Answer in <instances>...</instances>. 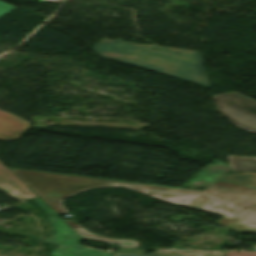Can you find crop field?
Wrapping results in <instances>:
<instances>
[{"mask_svg": "<svg viewBox=\"0 0 256 256\" xmlns=\"http://www.w3.org/2000/svg\"><path fill=\"white\" fill-rule=\"evenodd\" d=\"M10 170L57 214L68 212L61 204L65 198L93 188L122 186L166 203L225 216L216 223L238 232L256 233V189L254 188L218 181L205 191H197L18 169ZM217 206L221 207L216 208Z\"/></svg>", "mask_w": 256, "mask_h": 256, "instance_id": "8a807250", "label": "crop field"}, {"mask_svg": "<svg viewBox=\"0 0 256 256\" xmlns=\"http://www.w3.org/2000/svg\"><path fill=\"white\" fill-rule=\"evenodd\" d=\"M92 49L112 60L210 87L200 52L106 38Z\"/></svg>", "mask_w": 256, "mask_h": 256, "instance_id": "ac0d7876", "label": "crop field"}, {"mask_svg": "<svg viewBox=\"0 0 256 256\" xmlns=\"http://www.w3.org/2000/svg\"><path fill=\"white\" fill-rule=\"evenodd\" d=\"M36 204L43 209L56 233L44 242L58 245L51 256H113L114 254H105L106 251L88 248L79 245L82 238L77 235L57 214L39 197L34 199Z\"/></svg>", "mask_w": 256, "mask_h": 256, "instance_id": "34b2d1b8", "label": "crop field"}, {"mask_svg": "<svg viewBox=\"0 0 256 256\" xmlns=\"http://www.w3.org/2000/svg\"><path fill=\"white\" fill-rule=\"evenodd\" d=\"M217 111L231 123L256 134V101L236 92L213 96Z\"/></svg>", "mask_w": 256, "mask_h": 256, "instance_id": "412701ff", "label": "crop field"}, {"mask_svg": "<svg viewBox=\"0 0 256 256\" xmlns=\"http://www.w3.org/2000/svg\"><path fill=\"white\" fill-rule=\"evenodd\" d=\"M0 188L13 198H33L37 195L31 191L16 175L0 163Z\"/></svg>", "mask_w": 256, "mask_h": 256, "instance_id": "f4fd0767", "label": "crop field"}, {"mask_svg": "<svg viewBox=\"0 0 256 256\" xmlns=\"http://www.w3.org/2000/svg\"><path fill=\"white\" fill-rule=\"evenodd\" d=\"M30 123L0 110V140H16L29 128Z\"/></svg>", "mask_w": 256, "mask_h": 256, "instance_id": "dd49c442", "label": "crop field"}, {"mask_svg": "<svg viewBox=\"0 0 256 256\" xmlns=\"http://www.w3.org/2000/svg\"><path fill=\"white\" fill-rule=\"evenodd\" d=\"M77 234L86 239L98 240L101 242H106L110 244H119V247H130V248H138L139 242L133 240H120V239H111L106 237H100L95 234H92L81 227L79 224L74 222L73 220H64Z\"/></svg>", "mask_w": 256, "mask_h": 256, "instance_id": "e52e79f7", "label": "crop field"}, {"mask_svg": "<svg viewBox=\"0 0 256 256\" xmlns=\"http://www.w3.org/2000/svg\"><path fill=\"white\" fill-rule=\"evenodd\" d=\"M233 171L256 170V157L228 156Z\"/></svg>", "mask_w": 256, "mask_h": 256, "instance_id": "d8731c3e", "label": "crop field"}, {"mask_svg": "<svg viewBox=\"0 0 256 256\" xmlns=\"http://www.w3.org/2000/svg\"><path fill=\"white\" fill-rule=\"evenodd\" d=\"M221 180L250 185L256 187V172L251 173H229Z\"/></svg>", "mask_w": 256, "mask_h": 256, "instance_id": "5a996713", "label": "crop field"}, {"mask_svg": "<svg viewBox=\"0 0 256 256\" xmlns=\"http://www.w3.org/2000/svg\"><path fill=\"white\" fill-rule=\"evenodd\" d=\"M116 254H144L142 249L120 248Z\"/></svg>", "mask_w": 256, "mask_h": 256, "instance_id": "3316defc", "label": "crop field"}, {"mask_svg": "<svg viewBox=\"0 0 256 256\" xmlns=\"http://www.w3.org/2000/svg\"><path fill=\"white\" fill-rule=\"evenodd\" d=\"M16 8L15 6L0 1V16Z\"/></svg>", "mask_w": 256, "mask_h": 256, "instance_id": "28ad6ade", "label": "crop field"}, {"mask_svg": "<svg viewBox=\"0 0 256 256\" xmlns=\"http://www.w3.org/2000/svg\"><path fill=\"white\" fill-rule=\"evenodd\" d=\"M120 256H125V255H120Z\"/></svg>", "mask_w": 256, "mask_h": 256, "instance_id": "d1516ede", "label": "crop field"}]
</instances>
